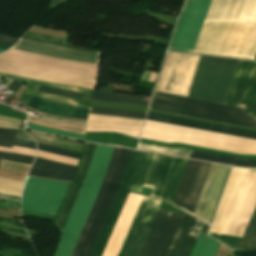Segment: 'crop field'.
Returning <instances> with one entry per match:
<instances>
[{
  "instance_id": "214f88e0",
  "label": "crop field",
  "mask_w": 256,
  "mask_h": 256,
  "mask_svg": "<svg viewBox=\"0 0 256 256\" xmlns=\"http://www.w3.org/2000/svg\"><path fill=\"white\" fill-rule=\"evenodd\" d=\"M189 157L223 163V164H229L234 166L256 167V160H250V159H240V158L201 153V152H195V151H192Z\"/></svg>"
},
{
  "instance_id": "d1516ede",
  "label": "crop field",
  "mask_w": 256,
  "mask_h": 256,
  "mask_svg": "<svg viewBox=\"0 0 256 256\" xmlns=\"http://www.w3.org/2000/svg\"><path fill=\"white\" fill-rule=\"evenodd\" d=\"M13 49L31 52L35 54L53 56L69 60L88 62L98 64L99 54L96 52L81 51L63 47H54L37 42L20 39L18 43L12 47Z\"/></svg>"
},
{
  "instance_id": "4a817a6b",
  "label": "crop field",
  "mask_w": 256,
  "mask_h": 256,
  "mask_svg": "<svg viewBox=\"0 0 256 256\" xmlns=\"http://www.w3.org/2000/svg\"><path fill=\"white\" fill-rule=\"evenodd\" d=\"M28 106L38 109L50 115L83 118V119H86V116H87V109L85 108L51 102L35 96L30 101Z\"/></svg>"
},
{
  "instance_id": "028f5c9d",
  "label": "crop field",
  "mask_w": 256,
  "mask_h": 256,
  "mask_svg": "<svg viewBox=\"0 0 256 256\" xmlns=\"http://www.w3.org/2000/svg\"><path fill=\"white\" fill-rule=\"evenodd\" d=\"M36 156L46 158V159H50V160H54V161H58V162H62V163L75 165V166L77 165V163L79 161L77 159L58 156V155L49 154V153H45V152H41V151H38Z\"/></svg>"
},
{
  "instance_id": "dafd665d",
  "label": "crop field",
  "mask_w": 256,
  "mask_h": 256,
  "mask_svg": "<svg viewBox=\"0 0 256 256\" xmlns=\"http://www.w3.org/2000/svg\"><path fill=\"white\" fill-rule=\"evenodd\" d=\"M29 135L33 137L37 142L56 146L62 149L70 150V151H75V152H82L83 148V143L75 142V141H70V140H64L40 133H35V132H29Z\"/></svg>"
},
{
  "instance_id": "c21b1889",
  "label": "crop field",
  "mask_w": 256,
  "mask_h": 256,
  "mask_svg": "<svg viewBox=\"0 0 256 256\" xmlns=\"http://www.w3.org/2000/svg\"><path fill=\"white\" fill-rule=\"evenodd\" d=\"M15 146H21V147H27V148H36V144L32 143V142H27V141H23V140H18L16 139L14 144Z\"/></svg>"
},
{
  "instance_id": "34b2d1b8",
  "label": "crop field",
  "mask_w": 256,
  "mask_h": 256,
  "mask_svg": "<svg viewBox=\"0 0 256 256\" xmlns=\"http://www.w3.org/2000/svg\"><path fill=\"white\" fill-rule=\"evenodd\" d=\"M151 110L256 129V120L244 109L155 92Z\"/></svg>"
},
{
  "instance_id": "e1f06a70",
  "label": "crop field",
  "mask_w": 256,
  "mask_h": 256,
  "mask_svg": "<svg viewBox=\"0 0 256 256\" xmlns=\"http://www.w3.org/2000/svg\"><path fill=\"white\" fill-rule=\"evenodd\" d=\"M33 158L34 157H30V156H22V155L0 152V159L13 160V161H19V162L31 164Z\"/></svg>"
},
{
  "instance_id": "b54c1fbb",
  "label": "crop field",
  "mask_w": 256,
  "mask_h": 256,
  "mask_svg": "<svg viewBox=\"0 0 256 256\" xmlns=\"http://www.w3.org/2000/svg\"><path fill=\"white\" fill-rule=\"evenodd\" d=\"M17 138L33 142V140L30 139L24 131H19Z\"/></svg>"
},
{
  "instance_id": "28ad6ade",
  "label": "crop field",
  "mask_w": 256,
  "mask_h": 256,
  "mask_svg": "<svg viewBox=\"0 0 256 256\" xmlns=\"http://www.w3.org/2000/svg\"><path fill=\"white\" fill-rule=\"evenodd\" d=\"M160 202L143 198L118 256H137Z\"/></svg>"
},
{
  "instance_id": "f4fd0767",
  "label": "crop field",
  "mask_w": 256,
  "mask_h": 256,
  "mask_svg": "<svg viewBox=\"0 0 256 256\" xmlns=\"http://www.w3.org/2000/svg\"><path fill=\"white\" fill-rule=\"evenodd\" d=\"M70 183L27 177L21 210L56 215Z\"/></svg>"
},
{
  "instance_id": "c035e120",
  "label": "crop field",
  "mask_w": 256,
  "mask_h": 256,
  "mask_svg": "<svg viewBox=\"0 0 256 256\" xmlns=\"http://www.w3.org/2000/svg\"><path fill=\"white\" fill-rule=\"evenodd\" d=\"M0 151L23 154V155H31V156L35 155V150L33 149H27V148L15 147V146H13L12 149L0 147Z\"/></svg>"
},
{
  "instance_id": "425ffa30",
  "label": "crop field",
  "mask_w": 256,
  "mask_h": 256,
  "mask_svg": "<svg viewBox=\"0 0 256 256\" xmlns=\"http://www.w3.org/2000/svg\"><path fill=\"white\" fill-rule=\"evenodd\" d=\"M9 47H11V45H8V44H4V43H1L0 42V50H7Z\"/></svg>"
},
{
  "instance_id": "03da06ac",
  "label": "crop field",
  "mask_w": 256,
  "mask_h": 256,
  "mask_svg": "<svg viewBox=\"0 0 256 256\" xmlns=\"http://www.w3.org/2000/svg\"><path fill=\"white\" fill-rule=\"evenodd\" d=\"M16 40H17L16 38L0 35V41L4 42V43H8V44L13 45Z\"/></svg>"
},
{
  "instance_id": "eef30255",
  "label": "crop field",
  "mask_w": 256,
  "mask_h": 256,
  "mask_svg": "<svg viewBox=\"0 0 256 256\" xmlns=\"http://www.w3.org/2000/svg\"><path fill=\"white\" fill-rule=\"evenodd\" d=\"M0 76L6 77V78H11V79H16V80H20V81H25V82H29V83H34V84H38V85L63 89V90L77 91V92H83V93H89V94L92 93L91 90H86V89H81V88H76V87H71V86H65V85H59V84H53V83H47V82L22 78V77H18V76L8 75V74H4V73H0Z\"/></svg>"
},
{
  "instance_id": "22f410ed",
  "label": "crop field",
  "mask_w": 256,
  "mask_h": 256,
  "mask_svg": "<svg viewBox=\"0 0 256 256\" xmlns=\"http://www.w3.org/2000/svg\"><path fill=\"white\" fill-rule=\"evenodd\" d=\"M255 72L256 62L239 61L225 104L236 106L237 103H245Z\"/></svg>"
},
{
  "instance_id": "5142ce71",
  "label": "crop field",
  "mask_w": 256,
  "mask_h": 256,
  "mask_svg": "<svg viewBox=\"0 0 256 256\" xmlns=\"http://www.w3.org/2000/svg\"><path fill=\"white\" fill-rule=\"evenodd\" d=\"M202 222L185 215L168 256H188Z\"/></svg>"
},
{
  "instance_id": "8a807250",
  "label": "crop field",
  "mask_w": 256,
  "mask_h": 256,
  "mask_svg": "<svg viewBox=\"0 0 256 256\" xmlns=\"http://www.w3.org/2000/svg\"><path fill=\"white\" fill-rule=\"evenodd\" d=\"M95 146L96 145L94 144H87L75 182L73 181L74 184L56 222L61 231L83 183ZM113 149L114 148L111 147L99 145L96 146L84 183L62 231L63 234L55 256H70L76 240L79 236V233L86 220V217L97 195V192L101 186ZM119 150L120 149L117 148L114 149L102 186L98 192V195L87 217V220L84 224V227L80 233V236L77 240L71 256H76L78 253V250L92 221V218L107 187ZM131 151L132 150L126 149L120 150L108 187L104 193V196L101 200V203L97 209V212L93 218V221L90 225V228L86 234V237L77 256H89V253L103 224V221L118 190Z\"/></svg>"
},
{
  "instance_id": "bd1437ed",
  "label": "crop field",
  "mask_w": 256,
  "mask_h": 256,
  "mask_svg": "<svg viewBox=\"0 0 256 256\" xmlns=\"http://www.w3.org/2000/svg\"><path fill=\"white\" fill-rule=\"evenodd\" d=\"M22 38L32 40V41L42 42V43H46V44H51V45H55V46H60L62 43V40H63L61 38L40 35V34H35V33H30V32H27Z\"/></svg>"
},
{
  "instance_id": "00972430",
  "label": "crop field",
  "mask_w": 256,
  "mask_h": 256,
  "mask_svg": "<svg viewBox=\"0 0 256 256\" xmlns=\"http://www.w3.org/2000/svg\"><path fill=\"white\" fill-rule=\"evenodd\" d=\"M220 243L200 233L191 256H215Z\"/></svg>"
},
{
  "instance_id": "b80d0937",
  "label": "crop field",
  "mask_w": 256,
  "mask_h": 256,
  "mask_svg": "<svg viewBox=\"0 0 256 256\" xmlns=\"http://www.w3.org/2000/svg\"><path fill=\"white\" fill-rule=\"evenodd\" d=\"M246 107L256 116V79L252 87Z\"/></svg>"
},
{
  "instance_id": "5d738f31",
  "label": "crop field",
  "mask_w": 256,
  "mask_h": 256,
  "mask_svg": "<svg viewBox=\"0 0 256 256\" xmlns=\"http://www.w3.org/2000/svg\"><path fill=\"white\" fill-rule=\"evenodd\" d=\"M11 83V82H10ZM21 85L20 82H15V81H12V83L9 85L8 89H12L14 90V92H16V90L18 89V87Z\"/></svg>"
},
{
  "instance_id": "a9b5d70f",
  "label": "crop field",
  "mask_w": 256,
  "mask_h": 256,
  "mask_svg": "<svg viewBox=\"0 0 256 256\" xmlns=\"http://www.w3.org/2000/svg\"><path fill=\"white\" fill-rule=\"evenodd\" d=\"M38 88H39L38 85L30 84L26 88L22 97L32 98V96L35 95V96H38V97H41V98H44V99H47V100H52V101H56V102H60V103H64V104H70V105H75V106H80V107L87 108V106L80 105L78 103L77 99L69 98V97H63V96H57V95H52V94L36 91V90H38Z\"/></svg>"
},
{
  "instance_id": "1d83c4d3",
  "label": "crop field",
  "mask_w": 256,
  "mask_h": 256,
  "mask_svg": "<svg viewBox=\"0 0 256 256\" xmlns=\"http://www.w3.org/2000/svg\"><path fill=\"white\" fill-rule=\"evenodd\" d=\"M27 126L36 131H41V132H46V133H51V134H56V135H61V136H66V137H72V138H77V139H82V140H84V138H85V136H83V135L63 132V131L45 128V127H40V126L31 124L28 122H27Z\"/></svg>"
},
{
  "instance_id": "bc2a9ffb",
  "label": "crop field",
  "mask_w": 256,
  "mask_h": 256,
  "mask_svg": "<svg viewBox=\"0 0 256 256\" xmlns=\"http://www.w3.org/2000/svg\"><path fill=\"white\" fill-rule=\"evenodd\" d=\"M187 161L188 160H185V159H178V158L174 159V162L172 164L170 173L168 175L167 181L165 183V186L160 198L170 203H173V200L176 195Z\"/></svg>"
},
{
  "instance_id": "d9b57169",
  "label": "crop field",
  "mask_w": 256,
  "mask_h": 256,
  "mask_svg": "<svg viewBox=\"0 0 256 256\" xmlns=\"http://www.w3.org/2000/svg\"><path fill=\"white\" fill-rule=\"evenodd\" d=\"M172 157L154 155L150 170L148 172L144 186L153 188V197H160L167 175L169 173Z\"/></svg>"
},
{
  "instance_id": "d8731c3e",
  "label": "crop field",
  "mask_w": 256,
  "mask_h": 256,
  "mask_svg": "<svg viewBox=\"0 0 256 256\" xmlns=\"http://www.w3.org/2000/svg\"><path fill=\"white\" fill-rule=\"evenodd\" d=\"M182 218L159 209L138 256H166Z\"/></svg>"
},
{
  "instance_id": "e52e79f7",
  "label": "crop field",
  "mask_w": 256,
  "mask_h": 256,
  "mask_svg": "<svg viewBox=\"0 0 256 256\" xmlns=\"http://www.w3.org/2000/svg\"><path fill=\"white\" fill-rule=\"evenodd\" d=\"M0 61L15 64V65H21V66L93 77V78L97 77V72H98V65H95V64L81 63V62L69 61L64 59L40 56V55H35V54L17 51L13 49H10L5 53L0 54Z\"/></svg>"
},
{
  "instance_id": "d3111659",
  "label": "crop field",
  "mask_w": 256,
  "mask_h": 256,
  "mask_svg": "<svg viewBox=\"0 0 256 256\" xmlns=\"http://www.w3.org/2000/svg\"><path fill=\"white\" fill-rule=\"evenodd\" d=\"M138 149L160 152V153H166V154H172V155H178V156H185V157H188L190 152H191V151H188V150H182V149H176V148H170V147H163V146H156V145H150V144H143V143L139 144Z\"/></svg>"
},
{
  "instance_id": "730fd06b",
  "label": "crop field",
  "mask_w": 256,
  "mask_h": 256,
  "mask_svg": "<svg viewBox=\"0 0 256 256\" xmlns=\"http://www.w3.org/2000/svg\"><path fill=\"white\" fill-rule=\"evenodd\" d=\"M256 248V208L237 249Z\"/></svg>"
},
{
  "instance_id": "ac0d7876",
  "label": "crop field",
  "mask_w": 256,
  "mask_h": 256,
  "mask_svg": "<svg viewBox=\"0 0 256 256\" xmlns=\"http://www.w3.org/2000/svg\"><path fill=\"white\" fill-rule=\"evenodd\" d=\"M212 0H187L168 50L192 52ZM242 0H213L193 52L221 56Z\"/></svg>"
},
{
  "instance_id": "0bd39190",
  "label": "crop field",
  "mask_w": 256,
  "mask_h": 256,
  "mask_svg": "<svg viewBox=\"0 0 256 256\" xmlns=\"http://www.w3.org/2000/svg\"><path fill=\"white\" fill-rule=\"evenodd\" d=\"M39 90L44 91V92H48V93L63 95V96L75 97V98H82L83 96H85V95H82V94L71 93V92L52 89V88H47V87H43V86H40Z\"/></svg>"
},
{
  "instance_id": "120bbe31",
  "label": "crop field",
  "mask_w": 256,
  "mask_h": 256,
  "mask_svg": "<svg viewBox=\"0 0 256 256\" xmlns=\"http://www.w3.org/2000/svg\"><path fill=\"white\" fill-rule=\"evenodd\" d=\"M209 235L234 250H236L241 239L240 237H234V236L223 235V234L212 233V232H210Z\"/></svg>"
},
{
  "instance_id": "25e5ab78",
  "label": "crop field",
  "mask_w": 256,
  "mask_h": 256,
  "mask_svg": "<svg viewBox=\"0 0 256 256\" xmlns=\"http://www.w3.org/2000/svg\"><path fill=\"white\" fill-rule=\"evenodd\" d=\"M226 256H230V255L226 254Z\"/></svg>"
},
{
  "instance_id": "d32e631a",
  "label": "crop field",
  "mask_w": 256,
  "mask_h": 256,
  "mask_svg": "<svg viewBox=\"0 0 256 256\" xmlns=\"http://www.w3.org/2000/svg\"><path fill=\"white\" fill-rule=\"evenodd\" d=\"M18 130L0 129V146L11 147Z\"/></svg>"
},
{
  "instance_id": "ae1a2a85",
  "label": "crop field",
  "mask_w": 256,
  "mask_h": 256,
  "mask_svg": "<svg viewBox=\"0 0 256 256\" xmlns=\"http://www.w3.org/2000/svg\"><path fill=\"white\" fill-rule=\"evenodd\" d=\"M89 108V113L93 114H103V115H112V116H121V117H131V118H140L144 119L146 113L142 112H132V111H122V110H112V109H102V108Z\"/></svg>"
},
{
  "instance_id": "4177f3b9",
  "label": "crop field",
  "mask_w": 256,
  "mask_h": 256,
  "mask_svg": "<svg viewBox=\"0 0 256 256\" xmlns=\"http://www.w3.org/2000/svg\"><path fill=\"white\" fill-rule=\"evenodd\" d=\"M153 155L154 154L152 153H146V152L143 153L142 159L140 161V164H139V167L130 191L138 192V193L141 192Z\"/></svg>"
},
{
  "instance_id": "dd49c442",
  "label": "crop field",
  "mask_w": 256,
  "mask_h": 256,
  "mask_svg": "<svg viewBox=\"0 0 256 256\" xmlns=\"http://www.w3.org/2000/svg\"><path fill=\"white\" fill-rule=\"evenodd\" d=\"M256 53V0H243L222 56L253 59Z\"/></svg>"
},
{
  "instance_id": "3316defc",
  "label": "crop field",
  "mask_w": 256,
  "mask_h": 256,
  "mask_svg": "<svg viewBox=\"0 0 256 256\" xmlns=\"http://www.w3.org/2000/svg\"><path fill=\"white\" fill-rule=\"evenodd\" d=\"M210 165L188 161L173 205L194 214Z\"/></svg>"
},
{
  "instance_id": "73cf0c24",
  "label": "crop field",
  "mask_w": 256,
  "mask_h": 256,
  "mask_svg": "<svg viewBox=\"0 0 256 256\" xmlns=\"http://www.w3.org/2000/svg\"><path fill=\"white\" fill-rule=\"evenodd\" d=\"M3 52V51H0V53Z\"/></svg>"
},
{
  "instance_id": "412701ff",
  "label": "crop field",
  "mask_w": 256,
  "mask_h": 256,
  "mask_svg": "<svg viewBox=\"0 0 256 256\" xmlns=\"http://www.w3.org/2000/svg\"><path fill=\"white\" fill-rule=\"evenodd\" d=\"M238 61L202 56L188 97L224 104Z\"/></svg>"
},
{
  "instance_id": "cbeb9de0",
  "label": "crop field",
  "mask_w": 256,
  "mask_h": 256,
  "mask_svg": "<svg viewBox=\"0 0 256 256\" xmlns=\"http://www.w3.org/2000/svg\"><path fill=\"white\" fill-rule=\"evenodd\" d=\"M146 120L170 123V124H175L180 126H186V127L202 129V130L218 132V133L256 140L255 132L233 129V128H228V127H223V126H218V125H213V124H208L203 122H197V121H192V120H187V119H182V118H177V117H172L167 115H161V114H156L151 112L148 113Z\"/></svg>"
},
{
  "instance_id": "733c2abd",
  "label": "crop field",
  "mask_w": 256,
  "mask_h": 256,
  "mask_svg": "<svg viewBox=\"0 0 256 256\" xmlns=\"http://www.w3.org/2000/svg\"><path fill=\"white\" fill-rule=\"evenodd\" d=\"M75 171L74 166L36 157L29 175L71 181Z\"/></svg>"
},
{
  "instance_id": "92a150f3",
  "label": "crop field",
  "mask_w": 256,
  "mask_h": 256,
  "mask_svg": "<svg viewBox=\"0 0 256 256\" xmlns=\"http://www.w3.org/2000/svg\"><path fill=\"white\" fill-rule=\"evenodd\" d=\"M145 98L93 92L89 100L147 107Z\"/></svg>"
},
{
  "instance_id": "d23c7cc5",
  "label": "crop field",
  "mask_w": 256,
  "mask_h": 256,
  "mask_svg": "<svg viewBox=\"0 0 256 256\" xmlns=\"http://www.w3.org/2000/svg\"><path fill=\"white\" fill-rule=\"evenodd\" d=\"M65 1H67V0H52L50 10H52L53 8H55L56 6H58L59 4L65 2Z\"/></svg>"
},
{
  "instance_id": "750c4746",
  "label": "crop field",
  "mask_w": 256,
  "mask_h": 256,
  "mask_svg": "<svg viewBox=\"0 0 256 256\" xmlns=\"http://www.w3.org/2000/svg\"><path fill=\"white\" fill-rule=\"evenodd\" d=\"M137 142V140L128 138L120 134H110L107 144L136 148Z\"/></svg>"
},
{
  "instance_id": "5a996713",
  "label": "crop field",
  "mask_w": 256,
  "mask_h": 256,
  "mask_svg": "<svg viewBox=\"0 0 256 256\" xmlns=\"http://www.w3.org/2000/svg\"><path fill=\"white\" fill-rule=\"evenodd\" d=\"M143 152L132 151L127 168L125 170L122 182L120 184L119 190L115 196L112 206L108 212V215L104 221L101 231L97 237L94 247L90 253V256H102L109 237L113 231L122 207L126 201L129 194V190L136 173L139 161L141 159Z\"/></svg>"
},
{
  "instance_id": "5866460e",
  "label": "crop field",
  "mask_w": 256,
  "mask_h": 256,
  "mask_svg": "<svg viewBox=\"0 0 256 256\" xmlns=\"http://www.w3.org/2000/svg\"><path fill=\"white\" fill-rule=\"evenodd\" d=\"M38 149L42 150V151L54 153V154H59V155H63V156L77 158V159H79L80 155H81L79 153H74V152H70V151H66V150L56 148V147L42 145V144H38Z\"/></svg>"
}]
</instances>
